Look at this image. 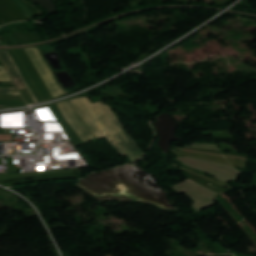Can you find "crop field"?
Listing matches in <instances>:
<instances>
[{
    "instance_id": "obj_1",
    "label": "crop field",
    "mask_w": 256,
    "mask_h": 256,
    "mask_svg": "<svg viewBox=\"0 0 256 256\" xmlns=\"http://www.w3.org/2000/svg\"><path fill=\"white\" fill-rule=\"evenodd\" d=\"M70 102L87 123L96 138L105 136L123 156H128V162H134L145 156L133 139L126 133L118 116L104 101L92 104L89 99L80 98ZM57 106L60 108L65 120L84 143L94 140L92 134L68 102L58 103ZM115 122L121 130L116 126Z\"/></svg>"
},
{
    "instance_id": "obj_2",
    "label": "crop field",
    "mask_w": 256,
    "mask_h": 256,
    "mask_svg": "<svg viewBox=\"0 0 256 256\" xmlns=\"http://www.w3.org/2000/svg\"><path fill=\"white\" fill-rule=\"evenodd\" d=\"M26 52L49 88L53 98L66 94V92L60 88L61 86L59 87L57 84L53 73L48 68L44 58L40 55L39 50L37 48H30L26 49Z\"/></svg>"
},
{
    "instance_id": "obj_3",
    "label": "crop field",
    "mask_w": 256,
    "mask_h": 256,
    "mask_svg": "<svg viewBox=\"0 0 256 256\" xmlns=\"http://www.w3.org/2000/svg\"><path fill=\"white\" fill-rule=\"evenodd\" d=\"M0 59L3 61L8 73L10 74L14 84L18 87L20 90L22 96L29 95V92L27 91L26 87L22 83L20 77L18 76L13 64L10 62L4 51H0Z\"/></svg>"
},
{
    "instance_id": "obj_4",
    "label": "crop field",
    "mask_w": 256,
    "mask_h": 256,
    "mask_svg": "<svg viewBox=\"0 0 256 256\" xmlns=\"http://www.w3.org/2000/svg\"><path fill=\"white\" fill-rule=\"evenodd\" d=\"M6 53H7V55L9 56L10 60L12 61V63L15 65V67H16V69H17V71H18V73H19V75H20L22 81L24 82L25 86H26L27 89L29 90V92H30V94H31V96H32V98H33V100L35 101V103H37L38 101L35 99L34 95L32 94L30 88L28 87V85H27V83H26V81H25L23 75L21 74L19 68H18L17 65L15 64V62H14L12 56L10 55L9 51H6Z\"/></svg>"
},
{
    "instance_id": "obj_5",
    "label": "crop field",
    "mask_w": 256,
    "mask_h": 256,
    "mask_svg": "<svg viewBox=\"0 0 256 256\" xmlns=\"http://www.w3.org/2000/svg\"><path fill=\"white\" fill-rule=\"evenodd\" d=\"M0 95H20L16 88H0Z\"/></svg>"
},
{
    "instance_id": "obj_6",
    "label": "crop field",
    "mask_w": 256,
    "mask_h": 256,
    "mask_svg": "<svg viewBox=\"0 0 256 256\" xmlns=\"http://www.w3.org/2000/svg\"><path fill=\"white\" fill-rule=\"evenodd\" d=\"M0 81H12L3 66H0Z\"/></svg>"
}]
</instances>
